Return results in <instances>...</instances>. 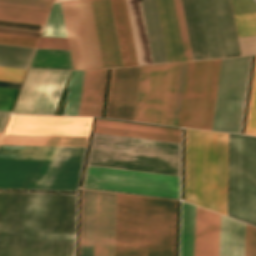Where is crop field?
Listing matches in <instances>:
<instances>
[{"mask_svg": "<svg viewBox=\"0 0 256 256\" xmlns=\"http://www.w3.org/2000/svg\"><path fill=\"white\" fill-rule=\"evenodd\" d=\"M245 224L221 215L219 256H244Z\"/></svg>", "mask_w": 256, "mask_h": 256, "instance_id": "dafd665d", "label": "crop field"}, {"mask_svg": "<svg viewBox=\"0 0 256 256\" xmlns=\"http://www.w3.org/2000/svg\"><path fill=\"white\" fill-rule=\"evenodd\" d=\"M49 11L0 5V20L44 25Z\"/></svg>", "mask_w": 256, "mask_h": 256, "instance_id": "4177f3b9", "label": "crop field"}, {"mask_svg": "<svg viewBox=\"0 0 256 256\" xmlns=\"http://www.w3.org/2000/svg\"><path fill=\"white\" fill-rule=\"evenodd\" d=\"M153 64L167 63L155 0H141Z\"/></svg>", "mask_w": 256, "mask_h": 256, "instance_id": "92a150f3", "label": "crop field"}, {"mask_svg": "<svg viewBox=\"0 0 256 256\" xmlns=\"http://www.w3.org/2000/svg\"><path fill=\"white\" fill-rule=\"evenodd\" d=\"M83 71H71L64 115H77Z\"/></svg>", "mask_w": 256, "mask_h": 256, "instance_id": "eef30255", "label": "crop field"}, {"mask_svg": "<svg viewBox=\"0 0 256 256\" xmlns=\"http://www.w3.org/2000/svg\"><path fill=\"white\" fill-rule=\"evenodd\" d=\"M85 150L0 145V189L77 191Z\"/></svg>", "mask_w": 256, "mask_h": 256, "instance_id": "34b2d1b8", "label": "crop field"}, {"mask_svg": "<svg viewBox=\"0 0 256 256\" xmlns=\"http://www.w3.org/2000/svg\"><path fill=\"white\" fill-rule=\"evenodd\" d=\"M103 66L121 67V58L115 32L110 0H90Z\"/></svg>", "mask_w": 256, "mask_h": 256, "instance_id": "5142ce71", "label": "crop field"}, {"mask_svg": "<svg viewBox=\"0 0 256 256\" xmlns=\"http://www.w3.org/2000/svg\"><path fill=\"white\" fill-rule=\"evenodd\" d=\"M220 63H188L178 126L211 130Z\"/></svg>", "mask_w": 256, "mask_h": 256, "instance_id": "d8731c3e", "label": "crop field"}, {"mask_svg": "<svg viewBox=\"0 0 256 256\" xmlns=\"http://www.w3.org/2000/svg\"><path fill=\"white\" fill-rule=\"evenodd\" d=\"M195 207L182 202L180 256H193ZM220 215L196 207L194 256H218Z\"/></svg>", "mask_w": 256, "mask_h": 256, "instance_id": "22f410ed", "label": "crop field"}, {"mask_svg": "<svg viewBox=\"0 0 256 256\" xmlns=\"http://www.w3.org/2000/svg\"><path fill=\"white\" fill-rule=\"evenodd\" d=\"M96 191L82 189L78 256H93ZM116 194L97 191L94 256H113Z\"/></svg>", "mask_w": 256, "mask_h": 256, "instance_id": "3316defc", "label": "crop field"}, {"mask_svg": "<svg viewBox=\"0 0 256 256\" xmlns=\"http://www.w3.org/2000/svg\"><path fill=\"white\" fill-rule=\"evenodd\" d=\"M245 256H256V228L246 224Z\"/></svg>", "mask_w": 256, "mask_h": 256, "instance_id": "0bd39190", "label": "crop field"}, {"mask_svg": "<svg viewBox=\"0 0 256 256\" xmlns=\"http://www.w3.org/2000/svg\"><path fill=\"white\" fill-rule=\"evenodd\" d=\"M19 90L0 88V110L11 111Z\"/></svg>", "mask_w": 256, "mask_h": 256, "instance_id": "028f5c9d", "label": "crop field"}, {"mask_svg": "<svg viewBox=\"0 0 256 256\" xmlns=\"http://www.w3.org/2000/svg\"><path fill=\"white\" fill-rule=\"evenodd\" d=\"M35 49L0 45V65L27 68Z\"/></svg>", "mask_w": 256, "mask_h": 256, "instance_id": "730fd06b", "label": "crop field"}, {"mask_svg": "<svg viewBox=\"0 0 256 256\" xmlns=\"http://www.w3.org/2000/svg\"><path fill=\"white\" fill-rule=\"evenodd\" d=\"M193 60L209 59L198 0H181Z\"/></svg>", "mask_w": 256, "mask_h": 256, "instance_id": "bc2a9ffb", "label": "crop field"}, {"mask_svg": "<svg viewBox=\"0 0 256 256\" xmlns=\"http://www.w3.org/2000/svg\"><path fill=\"white\" fill-rule=\"evenodd\" d=\"M242 55L256 54V36L239 38Z\"/></svg>", "mask_w": 256, "mask_h": 256, "instance_id": "c035e120", "label": "crop field"}, {"mask_svg": "<svg viewBox=\"0 0 256 256\" xmlns=\"http://www.w3.org/2000/svg\"><path fill=\"white\" fill-rule=\"evenodd\" d=\"M245 134L256 135V65Z\"/></svg>", "mask_w": 256, "mask_h": 256, "instance_id": "1d83c4d3", "label": "crop field"}, {"mask_svg": "<svg viewBox=\"0 0 256 256\" xmlns=\"http://www.w3.org/2000/svg\"><path fill=\"white\" fill-rule=\"evenodd\" d=\"M67 71L29 68L13 113L52 115Z\"/></svg>", "mask_w": 256, "mask_h": 256, "instance_id": "d1516ede", "label": "crop field"}, {"mask_svg": "<svg viewBox=\"0 0 256 256\" xmlns=\"http://www.w3.org/2000/svg\"><path fill=\"white\" fill-rule=\"evenodd\" d=\"M82 187L180 199V177L87 165Z\"/></svg>", "mask_w": 256, "mask_h": 256, "instance_id": "28ad6ade", "label": "crop field"}, {"mask_svg": "<svg viewBox=\"0 0 256 256\" xmlns=\"http://www.w3.org/2000/svg\"><path fill=\"white\" fill-rule=\"evenodd\" d=\"M227 134L186 129L185 201L226 216ZM227 216L256 226V137L228 134Z\"/></svg>", "mask_w": 256, "mask_h": 256, "instance_id": "8a807250", "label": "crop field"}, {"mask_svg": "<svg viewBox=\"0 0 256 256\" xmlns=\"http://www.w3.org/2000/svg\"><path fill=\"white\" fill-rule=\"evenodd\" d=\"M11 112L0 111V133L3 132L6 122Z\"/></svg>", "mask_w": 256, "mask_h": 256, "instance_id": "c21b1889", "label": "crop field"}, {"mask_svg": "<svg viewBox=\"0 0 256 256\" xmlns=\"http://www.w3.org/2000/svg\"><path fill=\"white\" fill-rule=\"evenodd\" d=\"M210 59L223 58L212 0H199Z\"/></svg>", "mask_w": 256, "mask_h": 256, "instance_id": "a9b5d70f", "label": "crop field"}, {"mask_svg": "<svg viewBox=\"0 0 256 256\" xmlns=\"http://www.w3.org/2000/svg\"><path fill=\"white\" fill-rule=\"evenodd\" d=\"M251 59H222L212 130L241 133Z\"/></svg>", "mask_w": 256, "mask_h": 256, "instance_id": "5a996713", "label": "crop field"}, {"mask_svg": "<svg viewBox=\"0 0 256 256\" xmlns=\"http://www.w3.org/2000/svg\"><path fill=\"white\" fill-rule=\"evenodd\" d=\"M57 1H61V0H57Z\"/></svg>", "mask_w": 256, "mask_h": 256, "instance_id": "03da06ac", "label": "crop field"}, {"mask_svg": "<svg viewBox=\"0 0 256 256\" xmlns=\"http://www.w3.org/2000/svg\"><path fill=\"white\" fill-rule=\"evenodd\" d=\"M53 0H0V4L49 10Z\"/></svg>", "mask_w": 256, "mask_h": 256, "instance_id": "5866460e", "label": "crop field"}, {"mask_svg": "<svg viewBox=\"0 0 256 256\" xmlns=\"http://www.w3.org/2000/svg\"><path fill=\"white\" fill-rule=\"evenodd\" d=\"M42 36L66 37L59 3H54Z\"/></svg>", "mask_w": 256, "mask_h": 256, "instance_id": "d3111659", "label": "crop field"}, {"mask_svg": "<svg viewBox=\"0 0 256 256\" xmlns=\"http://www.w3.org/2000/svg\"><path fill=\"white\" fill-rule=\"evenodd\" d=\"M73 69L103 68L90 1L60 3ZM69 51L37 49L31 67L72 69Z\"/></svg>", "mask_w": 256, "mask_h": 256, "instance_id": "dd49c442", "label": "crop field"}, {"mask_svg": "<svg viewBox=\"0 0 256 256\" xmlns=\"http://www.w3.org/2000/svg\"><path fill=\"white\" fill-rule=\"evenodd\" d=\"M39 38L0 33V43L35 47Z\"/></svg>", "mask_w": 256, "mask_h": 256, "instance_id": "120bbe31", "label": "crop field"}, {"mask_svg": "<svg viewBox=\"0 0 256 256\" xmlns=\"http://www.w3.org/2000/svg\"><path fill=\"white\" fill-rule=\"evenodd\" d=\"M95 125L181 136V130H177V129L109 122V121H101V120H97Z\"/></svg>", "mask_w": 256, "mask_h": 256, "instance_id": "750c4746", "label": "crop field"}, {"mask_svg": "<svg viewBox=\"0 0 256 256\" xmlns=\"http://www.w3.org/2000/svg\"><path fill=\"white\" fill-rule=\"evenodd\" d=\"M108 69L87 71L80 116L101 117Z\"/></svg>", "mask_w": 256, "mask_h": 256, "instance_id": "733c2abd", "label": "crop field"}, {"mask_svg": "<svg viewBox=\"0 0 256 256\" xmlns=\"http://www.w3.org/2000/svg\"><path fill=\"white\" fill-rule=\"evenodd\" d=\"M224 58L240 56L229 0H213Z\"/></svg>", "mask_w": 256, "mask_h": 256, "instance_id": "214f88e0", "label": "crop field"}, {"mask_svg": "<svg viewBox=\"0 0 256 256\" xmlns=\"http://www.w3.org/2000/svg\"><path fill=\"white\" fill-rule=\"evenodd\" d=\"M139 65L152 64L140 0H126Z\"/></svg>", "mask_w": 256, "mask_h": 256, "instance_id": "00972430", "label": "crop field"}, {"mask_svg": "<svg viewBox=\"0 0 256 256\" xmlns=\"http://www.w3.org/2000/svg\"><path fill=\"white\" fill-rule=\"evenodd\" d=\"M176 201L117 194L114 256H174Z\"/></svg>", "mask_w": 256, "mask_h": 256, "instance_id": "412701ff", "label": "crop field"}, {"mask_svg": "<svg viewBox=\"0 0 256 256\" xmlns=\"http://www.w3.org/2000/svg\"><path fill=\"white\" fill-rule=\"evenodd\" d=\"M86 164L180 176V144L93 133Z\"/></svg>", "mask_w": 256, "mask_h": 256, "instance_id": "f4fd0767", "label": "crop field"}, {"mask_svg": "<svg viewBox=\"0 0 256 256\" xmlns=\"http://www.w3.org/2000/svg\"><path fill=\"white\" fill-rule=\"evenodd\" d=\"M77 193L0 191V256H74Z\"/></svg>", "mask_w": 256, "mask_h": 256, "instance_id": "ac0d7876", "label": "crop field"}, {"mask_svg": "<svg viewBox=\"0 0 256 256\" xmlns=\"http://www.w3.org/2000/svg\"><path fill=\"white\" fill-rule=\"evenodd\" d=\"M186 61L192 60L180 0H174Z\"/></svg>", "mask_w": 256, "mask_h": 256, "instance_id": "d32e631a", "label": "crop field"}, {"mask_svg": "<svg viewBox=\"0 0 256 256\" xmlns=\"http://www.w3.org/2000/svg\"><path fill=\"white\" fill-rule=\"evenodd\" d=\"M93 132L121 135V136H129V137H137V138H145V139H153V140H161V141H169V142H177V143H180V140H181V137H178V136H170V135H162V134L98 127V126L94 127Z\"/></svg>", "mask_w": 256, "mask_h": 256, "instance_id": "ae1a2a85", "label": "crop field"}, {"mask_svg": "<svg viewBox=\"0 0 256 256\" xmlns=\"http://www.w3.org/2000/svg\"><path fill=\"white\" fill-rule=\"evenodd\" d=\"M168 63L185 61L173 0H156Z\"/></svg>", "mask_w": 256, "mask_h": 256, "instance_id": "d9b57169", "label": "crop field"}, {"mask_svg": "<svg viewBox=\"0 0 256 256\" xmlns=\"http://www.w3.org/2000/svg\"><path fill=\"white\" fill-rule=\"evenodd\" d=\"M123 66L138 65L125 0H111Z\"/></svg>", "mask_w": 256, "mask_h": 256, "instance_id": "4a817a6b", "label": "crop field"}, {"mask_svg": "<svg viewBox=\"0 0 256 256\" xmlns=\"http://www.w3.org/2000/svg\"><path fill=\"white\" fill-rule=\"evenodd\" d=\"M234 14L256 12L254 0H231Z\"/></svg>", "mask_w": 256, "mask_h": 256, "instance_id": "b80d0937", "label": "crop field"}, {"mask_svg": "<svg viewBox=\"0 0 256 256\" xmlns=\"http://www.w3.org/2000/svg\"><path fill=\"white\" fill-rule=\"evenodd\" d=\"M92 118L71 116H11L4 134L88 136Z\"/></svg>", "mask_w": 256, "mask_h": 256, "instance_id": "cbeb9de0", "label": "crop field"}, {"mask_svg": "<svg viewBox=\"0 0 256 256\" xmlns=\"http://www.w3.org/2000/svg\"><path fill=\"white\" fill-rule=\"evenodd\" d=\"M37 48L69 50L66 38L41 37Z\"/></svg>", "mask_w": 256, "mask_h": 256, "instance_id": "e1f06a70", "label": "crop field"}, {"mask_svg": "<svg viewBox=\"0 0 256 256\" xmlns=\"http://www.w3.org/2000/svg\"><path fill=\"white\" fill-rule=\"evenodd\" d=\"M186 66L142 67L134 121L177 126Z\"/></svg>", "mask_w": 256, "mask_h": 256, "instance_id": "e52e79f7", "label": "crop field"}, {"mask_svg": "<svg viewBox=\"0 0 256 256\" xmlns=\"http://www.w3.org/2000/svg\"><path fill=\"white\" fill-rule=\"evenodd\" d=\"M239 37L256 35V13L234 15Z\"/></svg>", "mask_w": 256, "mask_h": 256, "instance_id": "bd1437ed", "label": "crop field"}]
</instances>
